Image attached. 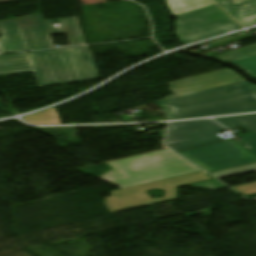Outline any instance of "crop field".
<instances>
[{
	"mask_svg": "<svg viewBox=\"0 0 256 256\" xmlns=\"http://www.w3.org/2000/svg\"><path fill=\"white\" fill-rule=\"evenodd\" d=\"M205 174L206 173L204 172H200L196 174L115 191L111 193L112 197L105 198L104 204L111 211V213H114L158 202L173 200L175 199L174 187L211 179V177ZM153 188L165 190L164 197L155 199L149 197L145 191Z\"/></svg>",
	"mask_w": 256,
	"mask_h": 256,
	"instance_id": "obj_5",
	"label": "crop field"
},
{
	"mask_svg": "<svg viewBox=\"0 0 256 256\" xmlns=\"http://www.w3.org/2000/svg\"><path fill=\"white\" fill-rule=\"evenodd\" d=\"M29 72L40 86L99 78L87 46L0 56V75Z\"/></svg>",
	"mask_w": 256,
	"mask_h": 256,
	"instance_id": "obj_1",
	"label": "crop field"
},
{
	"mask_svg": "<svg viewBox=\"0 0 256 256\" xmlns=\"http://www.w3.org/2000/svg\"><path fill=\"white\" fill-rule=\"evenodd\" d=\"M177 17V35L185 44L241 28L216 5Z\"/></svg>",
	"mask_w": 256,
	"mask_h": 256,
	"instance_id": "obj_4",
	"label": "crop field"
},
{
	"mask_svg": "<svg viewBox=\"0 0 256 256\" xmlns=\"http://www.w3.org/2000/svg\"><path fill=\"white\" fill-rule=\"evenodd\" d=\"M180 154L208 172L256 161L255 156L232 140Z\"/></svg>",
	"mask_w": 256,
	"mask_h": 256,
	"instance_id": "obj_8",
	"label": "crop field"
},
{
	"mask_svg": "<svg viewBox=\"0 0 256 256\" xmlns=\"http://www.w3.org/2000/svg\"><path fill=\"white\" fill-rule=\"evenodd\" d=\"M109 165L113 168V170L110 171L109 173H107L106 175L102 176L100 179L111 181L113 179L126 177L116 167H114L111 163H109Z\"/></svg>",
	"mask_w": 256,
	"mask_h": 256,
	"instance_id": "obj_19",
	"label": "crop field"
},
{
	"mask_svg": "<svg viewBox=\"0 0 256 256\" xmlns=\"http://www.w3.org/2000/svg\"><path fill=\"white\" fill-rule=\"evenodd\" d=\"M252 55H256V44L250 45L244 48H240L231 52H227L221 55H217L214 57H217L225 62H228V61H232V60H236V59H240V58H244Z\"/></svg>",
	"mask_w": 256,
	"mask_h": 256,
	"instance_id": "obj_15",
	"label": "crop field"
},
{
	"mask_svg": "<svg viewBox=\"0 0 256 256\" xmlns=\"http://www.w3.org/2000/svg\"><path fill=\"white\" fill-rule=\"evenodd\" d=\"M173 15H178L194 9L214 5L210 0H167Z\"/></svg>",
	"mask_w": 256,
	"mask_h": 256,
	"instance_id": "obj_13",
	"label": "crop field"
},
{
	"mask_svg": "<svg viewBox=\"0 0 256 256\" xmlns=\"http://www.w3.org/2000/svg\"><path fill=\"white\" fill-rule=\"evenodd\" d=\"M112 164L128 177L111 181L120 189L202 171L170 149Z\"/></svg>",
	"mask_w": 256,
	"mask_h": 256,
	"instance_id": "obj_3",
	"label": "crop field"
},
{
	"mask_svg": "<svg viewBox=\"0 0 256 256\" xmlns=\"http://www.w3.org/2000/svg\"><path fill=\"white\" fill-rule=\"evenodd\" d=\"M217 3H219V2H222V1H226V0H215Z\"/></svg>",
	"mask_w": 256,
	"mask_h": 256,
	"instance_id": "obj_21",
	"label": "crop field"
},
{
	"mask_svg": "<svg viewBox=\"0 0 256 256\" xmlns=\"http://www.w3.org/2000/svg\"><path fill=\"white\" fill-rule=\"evenodd\" d=\"M219 5L244 27L256 24V0H229Z\"/></svg>",
	"mask_w": 256,
	"mask_h": 256,
	"instance_id": "obj_12",
	"label": "crop field"
},
{
	"mask_svg": "<svg viewBox=\"0 0 256 256\" xmlns=\"http://www.w3.org/2000/svg\"><path fill=\"white\" fill-rule=\"evenodd\" d=\"M232 188L242 195L254 194L256 193V182L239 185Z\"/></svg>",
	"mask_w": 256,
	"mask_h": 256,
	"instance_id": "obj_18",
	"label": "crop field"
},
{
	"mask_svg": "<svg viewBox=\"0 0 256 256\" xmlns=\"http://www.w3.org/2000/svg\"><path fill=\"white\" fill-rule=\"evenodd\" d=\"M30 51L55 48L50 35L67 34L70 46L86 44L77 26L75 17L53 21H44L41 14L18 18Z\"/></svg>",
	"mask_w": 256,
	"mask_h": 256,
	"instance_id": "obj_6",
	"label": "crop field"
},
{
	"mask_svg": "<svg viewBox=\"0 0 256 256\" xmlns=\"http://www.w3.org/2000/svg\"><path fill=\"white\" fill-rule=\"evenodd\" d=\"M9 1H15V0H0V3L9 2Z\"/></svg>",
	"mask_w": 256,
	"mask_h": 256,
	"instance_id": "obj_20",
	"label": "crop field"
},
{
	"mask_svg": "<svg viewBox=\"0 0 256 256\" xmlns=\"http://www.w3.org/2000/svg\"><path fill=\"white\" fill-rule=\"evenodd\" d=\"M211 120L170 123L165 143L179 152L224 141L216 134L226 129Z\"/></svg>",
	"mask_w": 256,
	"mask_h": 256,
	"instance_id": "obj_7",
	"label": "crop field"
},
{
	"mask_svg": "<svg viewBox=\"0 0 256 256\" xmlns=\"http://www.w3.org/2000/svg\"><path fill=\"white\" fill-rule=\"evenodd\" d=\"M229 64L238 67L249 77L256 79V56L229 62Z\"/></svg>",
	"mask_w": 256,
	"mask_h": 256,
	"instance_id": "obj_16",
	"label": "crop field"
},
{
	"mask_svg": "<svg viewBox=\"0 0 256 256\" xmlns=\"http://www.w3.org/2000/svg\"><path fill=\"white\" fill-rule=\"evenodd\" d=\"M169 120L256 111V86L245 81L155 103Z\"/></svg>",
	"mask_w": 256,
	"mask_h": 256,
	"instance_id": "obj_2",
	"label": "crop field"
},
{
	"mask_svg": "<svg viewBox=\"0 0 256 256\" xmlns=\"http://www.w3.org/2000/svg\"><path fill=\"white\" fill-rule=\"evenodd\" d=\"M0 27V53L29 51L17 18L0 21Z\"/></svg>",
	"mask_w": 256,
	"mask_h": 256,
	"instance_id": "obj_10",
	"label": "crop field"
},
{
	"mask_svg": "<svg viewBox=\"0 0 256 256\" xmlns=\"http://www.w3.org/2000/svg\"><path fill=\"white\" fill-rule=\"evenodd\" d=\"M243 78H241L239 75H237L235 72L231 71L230 69L174 82L168 84L172 93L174 95L165 97L166 99L200 91L205 90L221 85H226L238 81H242Z\"/></svg>",
	"mask_w": 256,
	"mask_h": 256,
	"instance_id": "obj_9",
	"label": "crop field"
},
{
	"mask_svg": "<svg viewBox=\"0 0 256 256\" xmlns=\"http://www.w3.org/2000/svg\"><path fill=\"white\" fill-rule=\"evenodd\" d=\"M188 187L206 189V190H211V191L227 188L225 185H223L222 183L218 182L215 179L205 181V182H202V183H198V184H195V185H191V186H188Z\"/></svg>",
	"mask_w": 256,
	"mask_h": 256,
	"instance_id": "obj_17",
	"label": "crop field"
},
{
	"mask_svg": "<svg viewBox=\"0 0 256 256\" xmlns=\"http://www.w3.org/2000/svg\"><path fill=\"white\" fill-rule=\"evenodd\" d=\"M25 121L31 124L39 125H54L60 124L56 109L47 110L37 115L24 118Z\"/></svg>",
	"mask_w": 256,
	"mask_h": 256,
	"instance_id": "obj_14",
	"label": "crop field"
},
{
	"mask_svg": "<svg viewBox=\"0 0 256 256\" xmlns=\"http://www.w3.org/2000/svg\"><path fill=\"white\" fill-rule=\"evenodd\" d=\"M225 127L231 129L238 127L249 135L241 136L238 143L256 155V114L241 115L214 119Z\"/></svg>",
	"mask_w": 256,
	"mask_h": 256,
	"instance_id": "obj_11",
	"label": "crop field"
}]
</instances>
